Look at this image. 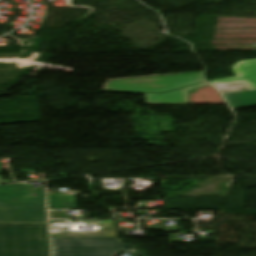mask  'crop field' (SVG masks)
Here are the masks:
<instances>
[{"label": "crop field", "mask_w": 256, "mask_h": 256, "mask_svg": "<svg viewBox=\"0 0 256 256\" xmlns=\"http://www.w3.org/2000/svg\"><path fill=\"white\" fill-rule=\"evenodd\" d=\"M0 222H46L44 190L22 183L0 185Z\"/></svg>", "instance_id": "1"}, {"label": "crop field", "mask_w": 256, "mask_h": 256, "mask_svg": "<svg viewBox=\"0 0 256 256\" xmlns=\"http://www.w3.org/2000/svg\"><path fill=\"white\" fill-rule=\"evenodd\" d=\"M0 256H49L47 224L0 223Z\"/></svg>", "instance_id": "2"}, {"label": "crop field", "mask_w": 256, "mask_h": 256, "mask_svg": "<svg viewBox=\"0 0 256 256\" xmlns=\"http://www.w3.org/2000/svg\"><path fill=\"white\" fill-rule=\"evenodd\" d=\"M53 256H115L119 251L146 256L119 238H52Z\"/></svg>", "instance_id": "3"}, {"label": "crop field", "mask_w": 256, "mask_h": 256, "mask_svg": "<svg viewBox=\"0 0 256 256\" xmlns=\"http://www.w3.org/2000/svg\"><path fill=\"white\" fill-rule=\"evenodd\" d=\"M198 82L201 73L110 81L107 89L163 93Z\"/></svg>", "instance_id": "4"}, {"label": "crop field", "mask_w": 256, "mask_h": 256, "mask_svg": "<svg viewBox=\"0 0 256 256\" xmlns=\"http://www.w3.org/2000/svg\"><path fill=\"white\" fill-rule=\"evenodd\" d=\"M232 68L236 74V77L217 79L209 81V83H211L212 85H217L245 81L249 85L251 90H256V59L239 61Z\"/></svg>", "instance_id": "5"}, {"label": "crop field", "mask_w": 256, "mask_h": 256, "mask_svg": "<svg viewBox=\"0 0 256 256\" xmlns=\"http://www.w3.org/2000/svg\"><path fill=\"white\" fill-rule=\"evenodd\" d=\"M207 85V83L180 89L166 94L146 93L148 104H188L187 90Z\"/></svg>", "instance_id": "6"}, {"label": "crop field", "mask_w": 256, "mask_h": 256, "mask_svg": "<svg viewBox=\"0 0 256 256\" xmlns=\"http://www.w3.org/2000/svg\"><path fill=\"white\" fill-rule=\"evenodd\" d=\"M224 96L232 108L256 105V91L227 94Z\"/></svg>", "instance_id": "7"}, {"label": "crop field", "mask_w": 256, "mask_h": 256, "mask_svg": "<svg viewBox=\"0 0 256 256\" xmlns=\"http://www.w3.org/2000/svg\"><path fill=\"white\" fill-rule=\"evenodd\" d=\"M75 198L66 194L49 195V209H76Z\"/></svg>", "instance_id": "8"}, {"label": "crop field", "mask_w": 256, "mask_h": 256, "mask_svg": "<svg viewBox=\"0 0 256 256\" xmlns=\"http://www.w3.org/2000/svg\"><path fill=\"white\" fill-rule=\"evenodd\" d=\"M2 172V170L0 169V173ZM6 182H11L10 180L7 181H2L1 177H0V183H6Z\"/></svg>", "instance_id": "9"}]
</instances>
